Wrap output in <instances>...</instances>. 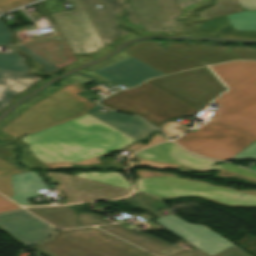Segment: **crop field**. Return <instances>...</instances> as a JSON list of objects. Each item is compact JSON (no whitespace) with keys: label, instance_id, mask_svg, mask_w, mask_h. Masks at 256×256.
<instances>
[{"label":"crop field","instance_id":"crop-field-3","mask_svg":"<svg viewBox=\"0 0 256 256\" xmlns=\"http://www.w3.org/2000/svg\"><path fill=\"white\" fill-rule=\"evenodd\" d=\"M123 52L164 74L236 59L256 60V49L182 44L159 46L153 41L136 43Z\"/></svg>","mask_w":256,"mask_h":256},{"label":"crop field","instance_id":"crop-field-34","mask_svg":"<svg viewBox=\"0 0 256 256\" xmlns=\"http://www.w3.org/2000/svg\"><path fill=\"white\" fill-rule=\"evenodd\" d=\"M245 158H256V141H254L253 143L248 145L246 148H244L242 151H240L238 154H236L230 160L245 159ZM249 169L256 171V166H252Z\"/></svg>","mask_w":256,"mask_h":256},{"label":"crop field","instance_id":"crop-field-27","mask_svg":"<svg viewBox=\"0 0 256 256\" xmlns=\"http://www.w3.org/2000/svg\"><path fill=\"white\" fill-rule=\"evenodd\" d=\"M13 53L10 54H0V69L26 73L29 71V68L24 66V61L21 56L15 53L13 48H10Z\"/></svg>","mask_w":256,"mask_h":256},{"label":"crop field","instance_id":"crop-field-21","mask_svg":"<svg viewBox=\"0 0 256 256\" xmlns=\"http://www.w3.org/2000/svg\"><path fill=\"white\" fill-rule=\"evenodd\" d=\"M73 83H76V81H74L72 79L64 80V81L60 82V85H61L60 88L50 87L49 89H47L45 92H43L40 96H38L33 101L15 109L6 119H4L0 123V139H11L13 142L17 143L16 141H14L16 139L15 137L5 133L2 129L4 127H6L7 125H9L11 122H13L15 119H17L19 116H21L23 113H25L27 110L32 108L34 105H36L41 100L51 96L52 94L64 89L65 87H67ZM24 155H25V151L21 147V155H20L19 163H21L22 165H24L26 167H31V168H47L37 158L30 159V160H24L23 159Z\"/></svg>","mask_w":256,"mask_h":256},{"label":"crop field","instance_id":"crop-field-39","mask_svg":"<svg viewBox=\"0 0 256 256\" xmlns=\"http://www.w3.org/2000/svg\"><path fill=\"white\" fill-rule=\"evenodd\" d=\"M18 208L19 207L15 206L11 202L7 201L6 199H4L0 196V212L15 210V209H18Z\"/></svg>","mask_w":256,"mask_h":256},{"label":"crop field","instance_id":"crop-field-23","mask_svg":"<svg viewBox=\"0 0 256 256\" xmlns=\"http://www.w3.org/2000/svg\"><path fill=\"white\" fill-rule=\"evenodd\" d=\"M10 178L14 193L10 198L23 206H29L25 199L37 196L35 191L46 188L39 176L33 172L11 175Z\"/></svg>","mask_w":256,"mask_h":256},{"label":"crop field","instance_id":"crop-field-14","mask_svg":"<svg viewBox=\"0 0 256 256\" xmlns=\"http://www.w3.org/2000/svg\"><path fill=\"white\" fill-rule=\"evenodd\" d=\"M0 230L24 247L52 236L55 229L24 210L0 214Z\"/></svg>","mask_w":256,"mask_h":256},{"label":"crop field","instance_id":"crop-field-38","mask_svg":"<svg viewBox=\"0 0 256 256\" xmlns=\"http://www.w3.org/2000/svg\"><path fill=\"white\" fill-rule=\"evenodd\" d=\"M242 10H256V0H237Z\"/></svg>","mask_w":256,"mask_h":256},{"label":"crop field","instance_id":"crop-field-8","mask_svg":"<svg viewBox=\"0 0 256 256\" xmlns=\"http://www.w3.org/2000/svg\"><path fill=\"white\" fill-rule=\"evenodd\" d=\"M132 158L138 162L129 163V168L132 165H151L156 168L172 167L185 172L200 171L202 173L208 172L207 169H212L219 172L214 176L222 178L231 176L256 185V173L226 163L214 165L217 161L194 156L171 142L145 149L134 154Z\"/></svg>","mask_w":256,"mask_h":256},{"label":"crop field","instance_id":"crop-field-10","mask_svg":"<svg viewBox=\"0 0 256 256\" xmlns=\"http://www.w3.org/2000/svg\"><path fill=\"white\" fill-rule=\"evenodd\" d=\"M104 9H98L97 0H80L94 27L105 44L126 34L125 29L143 31L125 0H100Z\"/></svg>","mask_w":256,"mask_h":256},{"label":"crop field","instance_id":"crop-field-29","mask_svg":"<svg viewBox=\"0 0 256 256\" xmlns=\"http://www.w3.org/2000/svg\"><path fill=\"white\" fill-rule=\"evenodd\" d=\"M123 200L130 204L133 208L144 209L156 217L164 216L156 207H154L150 202L136 192Z\"/></svg>","mask_w":256,"mask_h":256},{"label":"crop field","instance_id":"crop-field-36","mask_svg":"<svg viewBox=\"0 0 256 256\" xmlns=\"http://www.w3.org/2000/svg\"><path fill=\"white\" fill-rule=\"evenodd\" d=\"M1 18L2 17H0V19ZM10 37V30L0 20V45L11 46L12 43L9 41Z\"/></svg>","mask_w":256,"mask_h":256},{"label":"crop field","instance_id":"crop-field-28","mask_svg":"<svg viewBox=\"0 0 256 256\" xmlns=\"http://www.w3.org/2000/svg\"><path fill=\"white\" fill-rule=\"evenodd\" d=\"M242 11L236 0H217V5L201 13V17H215Z\"/></svg>","mask_w":256,"mask_h":256},{"label":"crop field","instance_id":"crop-field-5","mask_svg":"<svg viewBox=\"0 0 256 256\" xmlns=\"http://www.w3.org/2000/svg\"><path fill=\"white\" fill-rule=\"evenodd\" d=\"M99 103L111 109L140 115L159 128L164 121L178 116H195L199 111L148 82L132 90L120 91Z\"/></svg>","mask_w":256,"mask_h":256},{"label":"crop field","instance_id":"crop-field-16","mask_svg":"<svg viewBox=\"0 0 256 256\" xmlns=\"http://www.w3.org/2000/svg\"><path fill=\"white\" fill-rule=\"evenodd\" d=\"M67 196L66 203L123 197L131 191L60 173H49ZM64 193V194H65Z\"/></svg>","mask_w":256,"mask_h":256},{"label":"crop field","instance_id":"crop-field-18","mask_svg":"<svg viewBox=\"0 0 256 256\" xmlns=\"http://www.w3.org/2000/svg\"><path fill=\"white\" fill-rule=\"evenodd\" d=\"M200 33L217 32L247 38H256V11H244L200 24Z\"/></svg>","mask_w":256,"mask_h":256},{"label":"crop field","instance_id":"crop-field-24","mask_svg":"<svg viewBox=\"0 0 256 256\" xmlns=\"http://www.w3.org/2000/svg\"><path fill=\"white\" fill-rule=\"evenodd\" d=\"M27 209L58 228H70L78 226L74 211L65 206Z\"/></svg>","mask_w":256,"mask_h":256},{"label":"crop field","instance_id":"crop-field-15","mask_svg":"<svg viewBox=\"0 0 256 256\" xmlns=\"http://www.w3.org/2000/svg\"><path fill=\"white\" fill-rule=\"evenodd\" d=\"M155 221L211 256L233 245L205 226L187 223L174 214L155 219Z\"/></svg>","mask_w":256,"mask_h":256},{"label":"crop field","instance_id":"crop-field-31","mask_svg":"<svg viewBox=\"0 0 256 256\" xmlns=\"http://www.w3.org/2000/svg\"><path fill=\"white\" fill-rule=\"evenodd\" d=\"M17 47H18V49H20V50L28 53L29 55H31V57H32L34 62H39V63L43 64L45 66L44 71H46V72H54V71L58 70L57 67H55L54 65H52L51 63H49L48 61H46L45 59H43L42 57H40L36 53H34L33 51H31L25 45H23L21 43H18Z\"/></svg>","mask_w":256,"mask_h":256},{"label":"crop field","instance_id":"crop-field-17","mask_svg":"<svg viewBox=\"0 0 256 256\" xmlns=\"http://www.w3.org/2000/svg\"><path fill=\"white\" fill-rule=\"evenodd\" d=\"M91 71L117 85L121 84L128 87H133L150 77L163 75L132 57Z\"/></svg>","mask_w":256,"mask_h":256},{"label":"crop field","instance_id":"crop-field-40","mask_svg":"<svg viewBox=\"0 0 256 256\" xmlns=\"http://www.w3.org/2000/svg\"><path fill=\"white\" fill-rule=\"evenodd\" d=\"M176 1L182 9V8L186 7L187 5L193 4V3H195L196 1H199V0H176Z\"/></svg>","mask_w":256,"mask_h":256},{"label":"crop field","instance_id":"crop-field-9","mask_svg":"<svg viewBox=\"0 0 256 256\" xmlns=\"http://www.w3.org/2000/svg\"><path fill=\"white\" fill-rule=\"evenodd\" d=\"M148 82L200 109L226 90L207 67L151 79Z\"/></svg>","mask_w":256,"mask_h":256},{"label":"crop field","instance_id":"crop-field-33","mask_svg":"<svg viewBox=\"0 0 256 256\" xmlns=\"http://www.w3.org/2000/svg\"><path fill=\"white\" fill-rule=\"evenodd\" d=\"M188 129V127L174 122L165 123L161 128V130H163L170 137V139L182 134Z\"/></svg>","mask_w":256,"mask_h":256},{"label":"crop field","instance_id":"crop-field-41","mask_svg":"<svg viewBox=\"0 0 256 256\" xmlns=\"http://www.w3.org/2000/svg\"><path fill=\"white\" fill-rule=\"evenodd\" d=\"M18 12H19L23 17H25L29 22L32 21V20H30V19L28 18V16L25 14V12H24L22 9H19Z\"/></svg>","mask_w":256,"mask_h":256},{"label":"crop field","instance_id":"crop-field-25","mask_svg":"<svg viewBox=\"0 0 256 256\" xmlns=\"http://www.w3.org/2000/svg\"><path fill=\"white\" fill-rule=\"evenodd\" d=\"M11 155L10 149L0 147V192L8 197L13 195L9 175L22 172L9 163Z\"/></svg>","mask_w":256,"mask_h":256},{"label":"crop field","instance_id":"crop-field-35","mask_svg":"<svg viewBox=\"0 0 256 256\" xmlns=\"http://www.w3.org/2000/svg\"><path fill=\"white\" fill-rule=\"evenodd\" d=\"M32 1L35 0H0V10L4 12Z\"/></svg>","mask_w":256,"mask_h":256},{"label":"crop field","instance_id":"crop-field-7","mask_svg":"<svg viewBox=\"0 0 256 256\" xmlns=\"http://www.w3.org/2000/svg\"><path fill=\"white\" fill-rule=\"evenodd\" d=\"M83 89L78 83L65 88L41 101L3 130L17 137L86 113L94 103L76 94Z\"/></svg>","mask_w":256,"mask_h":256},{"label":"crop field","instance_id":"crop-field-13","mask_svg":"<svg viewBox=\"0 0 256 256\" xmlns=\"http://www.w3.org/2000/svg\"><path fill=\"white\" fill-rule=\"evenodd\" d=\"M144 31L184 32L181 21L175 17L183 12L175 0H127Z\"/></svg>","mask_w":256,"mask_h":256},{"label":"crop field","instance_id":"crop-field-19","mask_svg":"<svg viewBox=\"0 0 256 256\" xmlns=\"http://www.w3.org/2000/svg\"><path fill=\"white\" fill-rule=\"evenodd\" d=\"M100 108L102 107L95 105L88 113L137 140L147 136L149 132L156 130L154 127L138 117L118 114L112 111L105 113L99 110Z\"/></svg>","mask_w":256,"mask_h":256},{"label":"crop field","instance_id":"crop-field-37","mask_svg":"<svg viewBox=\"0 0 256 256\" xmlns=\"http://www.w3.org/2000/svg\"><path fill=\"white\" fill-rule=\"evenodd\" d=\"M165 140H166V137L162 133L158 132L156 134V136L150 141V143L147 146L161 142V141H165ZM143 147H146V146L140 142H137V143L133 144L131 147H129L128 150H131L134 152Z\"/></svg>","mask_w":256,"mask_h":256},{"label":"crop field","instance_id":"crop-field-26","mask_svg":"<svg viewBox=\"0 0 256 256\" xmlns=\"http://www.w3.org/2000/svg\"><path fill=\"white\" fill-rule=\"evenodd\" d=\"M74 176L130 189L129 183L126 181L122 174L119 172L99 173V172H88V173H76Z\"/></svg>","mask_w":256,"mask_h":256},{"label":"crop field","instance_id":"crop-field-11","mask_svg":"<svg viewBox=\"0 0 256 256\" xmlns=\"http://www.w3.org/2000/svg\"><path fill=\"white\" fill-rule=\"evenodd\" d=\"M72 9L51 16L73 54H87L105 46L78 0H68Z\"/></svg>","mask_w":256,"mask_h":256},{"label":"crop field","instance_id":"crop-field-4","mask_svg":"<svg viewBox=\"0 0 256 256\" xmlns=\"http://www.w3.org/2000/svg\"><path fill=\"white\" fill-rule=\"evenodd\" d=\"M136 173L140 176L136 179V190L161 199L196 196L228 207H256V191H236L163 172Z\"/></svg>","mask_w":256,"mask_h":256},{"label":"crop field","instance_id":"crop-field-12","mask_svg":"<svg viewBox=\"0 0 256 256\" xmlns=\"http://www.w3.org/2000/svg\"><path fill=\"white\" fill-rule=\"evenodd\" d=\"M37 6L52 31L34 34L31 31L23 32L20 29L16 31L15 38L58 67H63L74 62L75 58L73 54L54 24L43 2L37 3Z\"/></svg>","mask_w":256,"mask_h":256},{"label":"crop field","instance_id":"crop-field-30","mask_svg":"<svg viewBox=\"0 0 256 256\" xmlns=\"http://www.w3.org/2000/svg\"><path fill=\"white\" fill-rule=\"evenodd\" d=\"M247 254L233 245L216 256H249ZM169 256H209V255L196 249L193 251L176 253Z\"/></svg>","mask_w":256,"mask_h":256},{"label":"crop field","instance_id":"crop-field-20","mask_svg":"<svg viewBox=\"0 0 256 256\" xmlns=\"http://www.w3.org/2000/svg\"><path fill=\"white\" fill-rule=\"evenodd\" d=\"M99 228L115 234L157 256H164L178 250L177 247L168 242L162 241L146 234L139 235L119 225H105L100 226Z\"/></svg>","mask_w":256,"mask_h":256},{"label":"crop field","instance_id":"crop-field-32","mask_svg":"<svg viewBox=\"0 0 256 256\" xmlns=\"http://www.w3.org/2000/svg\"><path fill=\"white\" fill-rule=\"evenodd\" d=\"M78 222L81 224V226L108 223L107 221H105L103 218H101L100 216L96 215L95 213L79 214L78 215Z\"/></svg>","mask_w":256,"mask_h":256},{"label":"crop field","instance_id":"crop-field-42","mask_svg":"<svg viewBox=\"0 0 256 256\" xmlns=\"http://www.w3.org/2000/svg\"><path fill=\"white\" fill-rule=\"evenodd\" d=\"M30 15L32 16V18H33L34 20H36L40 14H38V13H32V14H30Z\"/></svg>","mask_w":256,"mask_h":256},{"label":"crop field","instance_id":"crop-field-1","mask_svg":"<svg viewBox=\"0 0 256 256\" xmlns=\"http://www.w3.org/2000/svg\"><path fill=\"white\" fill-rule=\"evenodd\" d=\"M230 91L203 128L189 131L177 143L215 159L228 160L256 139V62L234 61L211 67Z\"/></svg>","mask_w":256,"mask_h":256},{"label":"crop field","instance_id":"crop-field-22","mask_svg":"<svg viewBox=\"0 0 256 256\" xmlns=\"http://www.w3.org/2000/svg\"><path fill=\"white\" fill-rule=\"evenodd\" d=\"M40 78L0 70V109L25 88Z\"/></svg>","mask_w":256,"mask_h":256},{"label":"crop field","instance_id":"crop-field-6","mask_svg":"<svg viewBox=\"0 0 256 256\" xmlns=\"http://www.w3.org/2000/svg\"><path fill=\"white\" fill-rule=\"evenodd\" d=\"M33 249L45 256H151L95 228L56 232Z\"/></svg>","mask_w":256,"mask_h":256},{"label":"crop field","instance_id":"crop-field-43","mask_svg":"<svg viewBox=\"0 0 256 256\" xmlns=\"http://www.w3.org/2000/svg\"><path fill=\"white\" fill-rule=\"evenodd\" d=\"M9 144V143H8Z\"/></svg>","mask_w":256,"mask_h":256},{"label":"crop field","instance_id":"crop-field-2","mask_svg":"<svg viewBox=\"0 0 256 256\" xmlns=\"http://www.w3.org/2000/svg\"><path fill=\"white\" fill-rule=\"evenodd\" d=\"M21 140L30 144L33 155L49 168L97 164L105 153L124 149L136 141L88 113Z\"/></svg>","mask_w":256,"mask_h":256}]
</instances>
